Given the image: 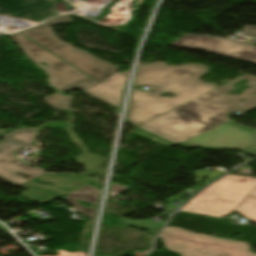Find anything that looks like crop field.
Wrapping results in <instances>:
<instances>
[{"mask_svg": "<svg viewBox=\"0 0 256 256\" xmlns=\"http://www.w3.org/2000/svg\"><path fill=\"white\" fill-rule=\"evenodd\" d=\"M207 72V66L196 64L177 67L165 64L139 66L134 87L146 85L156 93L133 91L128 120L140 125L218 87L199 82L200 75ZM165 92L176 95L158 96Z\"/></svg>", "mask_w": 256, "mask_h": 256, "instance_id": "1", "label": "crop field"}, {"mask_svg": "<svg viewBox=\"0 0 256 256\" xmlns=\"http://www.w3.org/2000/svg\"><path fill=\"white\" fill-rule=\"evenodd\" d=\"M246 111L222 96L216 89L142 125L141 128L180 143L230 120L225 115Z\"/></svg>", "mask_w": 256, "mask_h": 256, "instance_id": "2", "label": "crop field"}, {"mask_svg": "<svg viewBox=\"0 0 256 256\" xmlns=\"http://www.w3.org/2000/svg\"><path fill=\"white\" fill-rule=\"evenodd\" d=\"M70 21L72 20L69 16H63L21 33L100 83L117 73L115 72V65L100 60L86 51L69 45L59 39L49 29V26L52 24Z\"/></svg>", "mask_w": 256, "mask_h": 256, "instance_id": "3", "label": "crop field"}, {"mask_svg": "<svg viewBox=\"0 0 256 256\" xmlns=\"http://www.w3.org/2000/svg\"><path fill=\"white\" fill-rule=\"evenodd\" d=\"M256 187V179L228 175L191 199L183 211L220 217L234 211Z\"/></svg>", "mask_w": 256, "mask_h": 256, "instance_id": "4", "label": "crop field"}, {"mask_svg": "<svg viewBox=\"0 0 256 256\" xmlns=\"http://www.w3.org/2000/svg\"><path fill=\"white\" fill-rule=\"evenodd\" d=\"M166 248L182 256H254L246 243L222 240L167 227L159 235Z\"/></svg>", "mask_w": 256, "mask_h": 256, "instance_id": "5", "label": "crop field"}, {"mask_svg": "<svg viewBox=\"0 0 256 256\" xmlns=\"http://www.w3.org/2000/svg\"><path fill=\"white\" fill-rule=\"evenodd\" d=\"M9 38L25 51L26 56L33 63L49 75V84L54 88L64 91H70L72 88L86 90L99 84L21 34L17 33L9 36ZM40 63H44L48 67L40 65Z\"/></svg>", "mask_w": 256, "mask_h": 256, "instance_id": "6", "label": "crop field"}, {"mask_svg": "<svg viewBox=\"0 0 256 256\" xmlns=\"http://www.w3.org/2000/svg\"><path fill=\"white\" fill-rule=\"evenodd\" d=\"M256 143V129L229 121L180 144L208 150H242Z\"/></svg>", "mask_w": 256, "mask_h": 256, "instance_id": "7", "label": "crop field"}, {"mask_svg": "<svg viewBox=\"0 0 256 256\" xmlns=\"http://www.w3.org/2000/svg\"><path fill=\"white\" fill-rule=\"evenodd\" d=\"M172 43L174 46L208 50L256 63V48L243 40L186 35Z\"/></svg>", "mask_w": 256, "mask_h": 256, "instance_id": "8", "label": "crop field"}, {"mask_svg": "<svg viewBox=\"0 0 256 256\" xmlns=\"http://www.w3.org/2000/svg\"><path fill=\"white\" fill-rule=\"evenodd\" d=\"M75 159H77L78 163L87 166L85 168L87 170L86 173H84L80 176L73 175V174H48V173H46V174L38 177V179H40V180L58 184L52 188L44 186V185H40V184L31 182V181H29L27 183H31V184L38 185L41 187H45V188H49V189L56 190L59 192H63L65 194H69L87 184L94 182V181L89 180L85 176L92 174L94 172L105 173V171H106L103 169H98V166L101 163L106 162L108 160L107 158L100 157V156L90 154V153H84V154L76 157Z\"/></svg>", "mask_w": 256, "mask_h": 256, "instance_id": "9", "label": "crop field"}, {"mask_svg": "<svg viewBox=\"0 0 256 256\" xmlns=\"http://www.w3.org/2000/svg\"><path fill=\"white\" fill-rule=\"evenodd\" d=\"M2 152L0 153V177L5 178L15 185L19 186L27 180L14 174V172H21L29 176L37 178L38 176L46 173L45 170L37 167H30L18 160L13 156V152L20 147L8 142L0 144Z\"/></svg>", "mask_w": 256, "mask_h": 256, "instance_id": "10", "label": "crop field"}, {"mask_svg": "<svg viewBox=\"0 0 256 256\" xmlns=\"http://www.w3.org/2000/svg\"><path fill=\"white\" fill-rule=\"evenodd\" d=\"M50 6L54 9L52 0H0V15L28 20Z\"/></svg>", "mask_w": 256, "mask_h": 256, "instance_id": "11", "label": "crop field"}, {"mask_svg": "<svg viewBox=\"0 0 256 256\" xmlns=\"http://www.w3.org/2000/svg\"><path fill=\"white\" fill-rule=\"evenodd\" d=\"M126 80V75L117 73L103 83L85 92L119 108Z\"/></svg>", "mask_w": 256, "mask_h": 256, "instance_id": "12", "label": "crop field"}, {"mask_svg": "<svg viewBox=\"0 0 256 256\" xmlns=\"http://www.w3.org/2000/svg\"><path fill=\"white\" fill-rule=\"evenodd\" d=\"M100 192H101V190H98L90 185H87V186L69 194V196H67L64 199L67 200L68 202L72 203L75 206V208L79 210L80 213L90 217L92 219V221H94L96 210L82 207L80 204H78L75 201L76 200L87 201L92 204L98 205ZM79 198H82V200H80Z\"/></svg>", "mask_w": 256, "mask_h": 256, "instance_id": "13", "label": "crop field"}, {"mask_svg": "<svg viewBox=\"0 0 256 256\" xmlns=\"http://www.w3.org/2000/svg\"><path fill=\"white\" fill-rule=\"evenodd\" d=\"M240 79H249L250 83L247 86H251L249 89L245 90L242 93V96L240 97H233V96H229L225 93V91L232 89L234 87L230 86L232 83L240 80ZM217 90L223 94L230 102L244 108L247 109L249 111H251L252 109H254L256 107V96H251L250 93L255 92L256 91V77L250 76L248 74H245L231 82L228 83V85H224L221 86L219 88H217ZM242 98H247L248 102L246 103H241V102H237V100L242 99ZM234 99L235 101L231 100Z\"/></svg>", "mask_w": 256, "mask_h": 256, "instance_id": "14", "label": "crop field"}, {"mask_svg": "<svg viewBox=\"0 0 256 256\" xmlns=\"http://www.w3.org/2000/svg\"><path fill=\"white\" fill-rule=\"evenodd\" d=\"M37 131L38 129L29 130V129L21 128V129L15 130L10 134H6L3 136L15 142L16 144L26 148L31 146Z\"/></svg>", "mask_w": 256, "mask_h": 256, "instance_id": "15", "label": "crop field"}, {"mask_svg": "<svg viewBox=\"0 0 256 256\" xmlns=\"http://www.w3.org/2000/svg\"><path fill=\"white\" fill-rule=\"evenodd\" d=\"M22 187H26V188L30 189L29 191L23 193V197L35 200L40 203H45L51 199H54V198L62 195V194H58L55 192H51V191L41 189L38 187H34L31 185H27V184L22 185Z\"/></svg>", "mask_w": 256, "mask_h": 256, "instance_id": "16", "label": "crop field"}, {"mask_svg": "<svg viewBox=\"0 0 256 256\" xmlns=\"http://www.w3.org/2000/svg\"><path fill=\"white\" fill-rule=\"evenodd\" d=\"M235 212L256 222V199L246 197L245 200L235 209Z\"/></svg>", "mask_w": 256, "mask_h": 256, "instance_id": "17", "label": "crop field"}, {"mask_svg": "<svg viewBox=\"0 0 256 256\" xmlns=\"http://www.w3.org/2000/svg\"><path fill=\"white\" fill-rule=\"evenodd\" d=\"M44 102L51 106L56 111L65 109L69 107V103L72 100V97H64L60 94H52L45 97Z\"/></svg>", "mask_w": 256, "mask_h": 256, "instance_id": "18", "label": "crop field"}, {"mask_svg": "<svg viewBox=\"0 0 256 256\" xmlns=\"http://www.w3.org/2000/svg\"><path fill=\"white\" fill-rule=\"evenodd\" d=\"M55 16V10H53L52 8L48 9L46 13L40 15L39 17H36V18H32L30 19V21H36V22H40V21H43V20H46L48 18H51ZM41 23V22H40Z\"/></svg>", "mask_w": 256, "mask_h": 256, "instance_id": "19", "label": "crop field"}, {"mask_svg": "<svg viewBox=\"0 0 256 256\" xmlns=\"http://www.w3.org/2000/svg\"><path fill=\"white\" fill-rule=\"evenodd\" d=\"M126 189H128V187L122 186V185H117V184H112L109 196H115Z\"/></svg>", "mask_w": 256, "mask_h": 256, "instance_id": "20", "label": "crop field"}, {"mask_svg": "<svg viewBox=\"0 0 256 256\" xmlns=\"http://www.w3.org/2000/svg\"><path fill=\"white\" fill-rule=\"evenodd\" d=\"M57 252L59 253V255H57V256H86V254L84 252L69 253L64 250H59Z\"/></svg>", "mask_w": 256, "mask_h": 256, "instance_id": "21", "label": "crop field"}, {"mask_svg": "<svg viewBox=\"0 0 256 256\" xmlns=\"http://www.w3.org/2000/svg\"><path fill=\"white\" fill-rule=\"evenodd\" d=\"M45 127L49 128H66L67 124L65 122H50L45 125Z\"/></svg>", "mask_w": 256, "mask_h": 256, "instance_id": "22", "label": "crop field"}, {"mask_svg": "<svg viewBox=\"0 0 256 256\" xmlns=\"http://www.w3.org/2000/svg\"><path fill=\"white\" fill-rule=\"evenodd\" d=\"M243 35L256 36V27L245 26Z\"/></svg>", "mask_w": 256, "mask_h": 256, "instance_id": "23", "label": "crop field"}, {"mask_svg": "<svg viewBox=\"0 0 256 256\" xmlns=\"http://www.w3.org/2000/svg\"><path fill=\"white\" fill-rule=\"evenodd\" d=\"M250 196H255L256 197V188L249 194Z\"/></svg>", "mask_w": 256, "mask_h": 256, "instance_id": "24", "label": "crop field"}, {"mask_svg": "<svg viewBox=\"0 0 256 256\" xmlns=\"http://www.w3.org/2000/svg\"><path fill=\"white\" fill-rule=\"evenodd\" d=\"M0 230H2L4 232H7V230L3 226H1V225H0Z\"/></svg>", "mask_w": 256, "mask_h": 256, "instance_id": "25", "label": "crop field"}, {"mask_svg": "<svg viewBox=\"0 0 256 256\" xmlns=\"http://www.w3.org/2000/svg\"><path fill=\"white\" fill-rule=\"evenodd\" d=\"M4 132H5V130L0 129V133H4Z\"/></svg>", "mask_w": 256, "mask_h": 256, "instance_id": "26", "label": "crop field"}]
</instances>
